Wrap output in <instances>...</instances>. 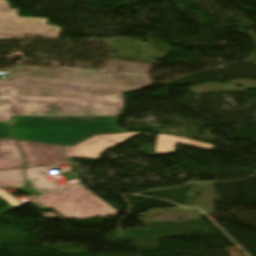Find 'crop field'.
Segmentation results:
<instances>
[{
    "instance_id": "crop-field-1",
    "label": "crop field",
    "mask_w": 256,
    "mask_h": 256,
    "mask_svg": "<svg viewBox=\"0 0 256 256\" xmlns=\"http://www.w3.org/2000/svg\"><path fill=\"white\" fill-rule=\"evenodd\" d=\"M151 65L108 61L102 70L17 65L0 88L17 89V98H2L0 121L9 115H117L121 101L109 99L153 85Z\"/></svg>"
},
{
    "instance_id": "crop-field-2",
    "label": "crop field",
    "mask_w": 256,
    "mask_h": 256,
    "mask_svg": "<svg viewBox=\"0 0 256 256\" xmlns=\"http://www.w3.org/2000/svg\"><path fill=\"white\" fill-rule=\"evenodd\" d=\"M7 124L16 139L75 145L93 135L126 132L117 116H12Z\"/></svg>"
},
{
    "instance_id": "crop-field-3",
    "label": "crop field",
    "mask_w": 256,
    "mask_h": 256,
    "mask_svg": "<svg viewBox=\"0 0 256 256\" xmlns=\"http://www.w3.org/2000/svg\"><path fill=\"white\" fill-rule=\"evenodd\" d=\"M36 200L48 209L53 208L66 219L106 217L119 213L79 183Z\"/></svg>"
},
{
    "instance_id": "crop-field-4",
    "label": "crop field",
    "mask_w": 256,
    "mask_h": 256,
    "mask_svg": "<svg viewBox=\"0 0 256 256\" xmlns=\"http://www.w3.org/2000/svg\"><path fill=\"white\" fill-rule=\"evenodd\" d=\"M60 30L56 26H47L46 18L18 17V10L10 9L6 0H0V39L58 38Z\"/></svg>"
},
{
    "instance_id": "crop-field-5",
    "label": "crop field",
    "mask_w": 256,
    "mask_h": 256,
    "mask_svg": "<svg viewBox=\"0 0 256 256\" xmlns=\"http://www.w3.org/2000/svg\"><path fill=\"white\" fill-rule=\"evenodd\" d=\"M139 133L141 132L93 136L73 147H63L67 157L95 159L106 148H111Z\"/></svg>"
},
{
    "instance_id": "crop-field-6",
    "label": "crop field",
    "mask_w": 256,
    "mask_h": 256,
    "mask_svg": "<svg viewBox=\"0 0 256 256\" xmlns=\"http://www.w3.org/2000/svg\"><path fill=\"white\" fill-rule=\"evenodd\" d=\"M18 142L27 167L66 164L59 147Z\"/></svg>"
},
{
    "instance_id": "crop-field-7",
    "label": "crop field",
    "mask_w": 256,
    "mask_h": 256,
    "mask_svg": "<svg viewBox=\"0 0 256 256\" xmlns=\"http://www.w3.org/2000/svg\"><path fill=\"white\" fill-rule=\"evenodd\" d=\"M174 143L184 144V145L205 149V150H212L214 147L213 145H209L206 143H202V142L187 139V138L158 134L155 149H154V154L156 155V154L174 153Z\"/></svg>"
},
{
    "instance_id": "crop-field-8",
    "label": "crop field",
    "mask_w": 256,
    "mask_h": 256,
    "mask_svg": "<svg viewBox=\"0 0 256 256\" xmlns=\"http://www.w3.org/2000/svg\"><path fill=\"white\" fill-rule=\"evenodd\" d=\"M22 170L23 169L0 171V197L12 206H18L22 203L10 196L2 188H18L25 186Z\"/></svg>"
},
{
    "instance_id": "crop-field-9",
    "label": "crop field",
    "mask_w": 256,
    "mask_h": 256,
    "mask_svg": "<svg viewBox=\"0 0 256 256\" xmlns=\"http://www.w3.org/2000/svg\"><path fill=\"white\" fill-rule=\"evenodd\" d=\"M24 167L16 142L0 141V170Z\"/></svg>"
},
{
    "instance_id": "crop-field-10",
    "label": "crop field",
    "mask_w": 256,
    "mask_h": 256,
    "mask_svg": "<svg viewBox=\"0 0 256 256\" xmlns=\"http://www.w3.org/2000/svg\"><path fill=\"white\" fill-rule=\"evenodd\" d=\"M49 167L51 166L27 168L25 170L27 185L30 191L45 193L56 188L54 184L47 183L44 178Z\"/></svg>"
},
{
    "instance_id": "crop-field-11",
    "label": "crop field",
    "mask_w": 256,
    "mask_h": 256,
    "mask_svg": "<svg viewBox=\"0 0 256 256\" xmlns=\"http://www.w3.org/2000/svg\"><path fill=\"white\" fill-rule=\"evenodd\" d=\"M17 93V90L0 89V97H16ZM0 101H2L1 98Z\"/></svg>"
},
{
    "instance_id": "crop-field-12",
    "label": "crop field",
    "mask_w": 256,
    "mask_h": 256,
    "mask_svg": "<svg viewBox=\"0 0 256 256\" xmlns=\"http://www.w3.org/2000/svg\"><path fill=\"white\" fill-rule=\"evenodd\" d=\"M4 123H6V122L0 123V138L11 137V135L6 130Z\"/></svg>"
},
{
    "instance_id": "crop-field-13",
    "label": "crop field",
    "mask_w": 256,
    "mask_h": 256,
    "mask_svg": "<svg viewBox=\"0 0 256 256\" xmlns=\"http://www.w3.org/2000/svg\"><path fill=\"white\" fill-rule=\"evenodd\" d=\"M18 190H20V191H22V192H25V193H27V194H30V196L28 197V198H30V199H32V198L36 197L37 195H39V194H37V193H31V192H29V191L26 189V187L18 188Z\"/></svg>"
}]
</instances>
